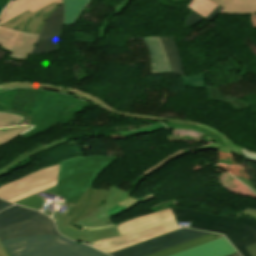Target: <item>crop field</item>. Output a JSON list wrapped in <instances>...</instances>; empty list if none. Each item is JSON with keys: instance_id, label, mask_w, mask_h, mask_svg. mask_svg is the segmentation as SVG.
<instances>
[{"instance_id": "obj_1", "label": "crop field", "mask_w": 256, "mask_h": 256, "mask_svg": "<svg viewBox=\"0 0 256 256\" xmlns=\"http://www.w3.org/2000/svg\"><path fill=\"white\" fill-rule=\"evenodd\" d=\"M171 209L175 220L192 221L193 229L225 234L242 256H251L244 247L256 243L255 219L240 215L233 219L178 207Z\"/></svg>"}, {"instance_id": "obj_2", "label": "crop field", "mask_w": 256, "mask_h": 256, "mask_svg": "<svg viewBox=\"0 0 256 256\" xmlns=\"http://www.w3.org/2000/svg\"><path fill=\"white\" fill-rule=\"evenodd\" d=\"M120 236L91 242L106 253L177 230L170 208L138 216L116 225Z\"/></svg>"}, {"instance_id": "obj_3", "label": "crop field", "mask_w": 256, "mask_h": 256, "mask_svg": "<svg viewBox=\"0 0 256 256\" xmlns=\"http://www.w3.org/2000/svg\"><path fill=\"white\" fill-rule=\"evenodd\" d=\"M63 2L58 0L33 15L24 12L0 25V46L12 52L8 57L26 59L37 42L44 21Z\"/></svg>"}, {"instance_id": "obj_4", "label": "crop field", "mask_w": 256, "mask_h": 256, "mask_svg": "<svg viewBox=\"0 0 256 256\" xmlns=\"http://www.w3.org/2000/svg\"><path fill=\"white\" fill-rule=\"evenodd\" d=\"M118 157H75L62 161L57 183V195L65 202L77 204L94 180Z\"/></svg>"}, {"instance_id": "obj_5", "label": "crop field", "mask_w": 256, "mask_h": 256, "mask_svg": "<svg viewBox=\"0 0 256 256\" xmlns=\"http://www.w3.org/2000/svg\"><path fill=\"white\" fill-rule=\"evenodd\" d=\"M2 243L10 256H108L59 235H31Z\"/></svg>"}, {"instance_id": "obj_6", "label": "crop field", "mask_w": 256, "mask_h": 256, "mask_svg": "<svg viewBox=\"0 0 256 256\" xmlns=\"http://www.w3.org/2000/svg\"><path fill=\"white\" fill-rule=\"evenodd\" d=\"M30 234H58L53 222L34 210L12 206L0 212V241Z\"/></svg>"}, {"instance_id": "obj_7", "label": "crop field", "mask_w": 256, "mask_h": 256, "mask_svg": "<svg viewBox=\"0 0 256 256\" xmlns=\"http://www.w3.org/2000/svg\"><path fill=\"white\" fill-rule=\"evenodd\" d=\"M103 201H106L105 205L102 204L101 207L79 220L77 224L87 227H100L113 224L110 218L126 212L129 208L139 203L138 200L132 198L128 193H124L113 186L107 189Z\"/></svg>"}, {"instance_id": "obj_8", "label": "crop field", "mask_w": 256, "mask_h": 256, "mask_svg": "<svg viewBox=\"0 0 256 256\" xmlns=\"http://www.w3.org/2000/svg\"><path fill=\"white\" fill-rule=\"evenodd\" d=\"M208 233L210 232L183 228L173 233L115 252L110 255L112 256H146L151 253L206 235Z\"/></svg>"}, {"instance_id": "obj_9", "label": "crop field", "mask_w": 256, "mask_h": 256, "mask_svg": "<svg viewBox=\"0 0 256 256\" xmlns=\"http://www.w3.org/2000/svg\"><path fill=\"white\" fill-rule=\"evenodd\" d=\"M59 164L30 173L18 180L0 186V197L8 200L38 186L56 180Z\"/></svg>"}, {"instance_id": "obj_10", "label": "crop field", "mask_w": 256, "mask_h": 256, "mask_svg": "<svg viewBox=\"0 0 256 256\" xmlns=\"http://www.w3.org/2000/svg\"><path fill=\"white\" fill-rule=\"evenodd\" d=\"M162 122L168 128L193 130L209 137L212 140V144L203 148H199V150L218 149L226 153H234L236 155L242 156L239 153L241 147L234 145L226 136L219 133L220 131L218 132L217 130L212 129L206 125L194 121L176 120L170 118H162ZM219 138H221L222 142H224L227 147H222V145L218 142Z\"/></svg>"}, {"instance_id": "obj_11", "label": "crop field", "mask_w": 256, "mask_h": 256, "mask_svg": "<svg viewBox=\"0 0 256 256\" xmlns=\"http://www.w3.org/2000/svg\"><path fill=\"white\" fill-rule=\"evenodd\" d=\"M64 3L46 20L35 49L30 55L59 51V37L63 28Z\"/></svg>"}, {"instance_id": "obj_12", "label": "crop field", "mask_w": 256, "mask_h": 256, "mask_svg": "<svg viewBox=\"0 0 256 256\" xmlns=\"http://www.w3.org/2000/svg\"><path fill=\"white\" fill-rule=\"evenodd\" d=\"M14 87H32V88L60 91V92H63V93L69 94V95H73V96L85 99L86 101L96 104L99 107H102L118 116L128 117V118H137V119H146L149 121H161V118H158V117H153V116H149V115L124 113V112L117 111V110L113 109L111 106L105 104L102 100H100L92 95H89L83 91H80L78 89H70V88H65V87L56 86V85H49V84H42V83H30V82H11V83H6V84L0 85V89L14 88Z\"/></svg>"}, {"instance_id": "obj_13", "label": "crop field", "mask_w": 256, "mask_h": 256, "mask_svg": "<svg viewBox=\"0 0 256 256\" xmlns=\"http://www.w3.org/2000/svg\"><path fill=\"white\" fill-rule=\"evenodd\" d=\"M52 218L54 219V221H57L56 226L62 235L77 241H85L89 243V241L104 239L118 235L115 229V225L100 228L83 227L81 230H79L67 225L69 216L63 213L55 211Z\"/></svg>"}, {"instance_id": "obj_14", "label": "crop field", "mask_w": 256, "mask_h": 256, "mask_svg": "<svg viewBox=\"0 0 256 256\" xmlns=\"http://www.w3.org/2000/svg\"><path fill=\"white\" fill-rule=\"evenodd\" d=\"M105 192L106 190L88 188L79 203L77 205L71 204L67 210L66 214L71 216L68 224L73 226L80 218L85 217L93 209L101 206Z\"/></svg>"}, {"instance_id": "obj_15", "label": "crop field", "mask_w": 256, "mask_h": 256, "mask_svg": "<svg viewBox=\"0 0 256 256\" xmlns=\"http://www.w3.org/2000/svg\"><path fill=\"white\" fill-rule=\"evenodd\" d=\"M240 256L225 237L173 256Z\"/></svg>"}, {"instance_id": "obj_16", "label": "crop field", "mask_w": 256, "mask_h": 256, "mask_svg": "<svg viewBox=\"0 0 256 256\" xmlns=\"http://www.w3.org/2000/svg\"><path fill=\"white\" fill-rule=\"evenodd\" d=\"M143 39L150 55L152 75L171 73L159 36L143 37Z\"/></svg>"}, {"instance_id": "obj_17", "label": "crop field", "mask_w": 256, "mask_h": 256, "mask_svg": "<svg viewBox=\"0 0 256 256\" xmlns=\"http://www.w3.org/2000/svg\"><path fill=\"white\" fill-rule=\"evenodd\" d=\"M185 86L207 88L210 100L230 103L235 110H241L250 107L249 103L236 99L226 100L222 93L216 87L206 86L204 72L182 77Z\"/></svg>"}, {"instance_id": "obj_18", "label": "crop field", "mask_w": 256, "mask_h": 256, "mask_svg": "<svg viewBox=\"0 0 256 256\" xmlns=\"http://www.w3.org/2000/svg\"><path fill=\"white\" fill-rule=\"evenodd\" d=\"M53 1L55 0H16L6 6L0 16V24L27 10L34 13Z\"/></svg>"}, {"instance_id": "obj_19", "label": "crop field", "mask_w": 256, "mask_h": 256, "mask_svg": "<svg viewBox=\"0 0 256 256\" xmlns=\"http://www.w3.org/2000/svg\"><path fill=\"white\" fill-rule=\"evenodd\" d=\"M160 38L167 53L172 73L185 75L174 39H171V36H160Z\"/></svg>"}, {"instance_id": "obj_20", "label": "crop field", "mask_w": 256, "mask_h": 256, "mask_svg": "<svg viewBox=\"0 0 256 256\" xmlns=\"http://www.w3.org/2000/svg\"><path fill=\"white\" fill-rule=\"evenodd\" d=\"M65 142L66 141H65L64 137L61 138V139H58V140L50 141V142L47 141L43 145H40V146L34 148L31 151L21 154L16 159H14L12 162H10L9 164L5 165L4 167H2L0 169V176L8 173L9 169L15 167L16 165L21 163L23 160H25V159H27V158H29V157L37 154V153L44 152V151H46L48 149H51V148H53V147H55L57 145L63 144Z\"/></svg>"}, {"instance_id": "obj_21", "label": "crop field", "mask_w": 256, "mask_h": 256, "mask_svg": "<svg viewBox=\"0 0 256 256\" xmlns=\"http://www.w3.org/2000/svg\"><path fill=\"white\" fill-rule=\"evenodd\" d=\"M219 237H223V235H218V234L211 233V234H208L206 236H203V237L194 239L192 241L174 246L172 248L154 253V254L149 255V256H170V255L176 254L178 252H181V251L193 248L195 246L201 245L203 243H206L208 241H211V240L219 238Z\"/></svg>"}, {"instance_id": "obj_22", "label": "crop field", "mask_w": 256, "mask_h": 256, "mask_svg": "<svg viewBox=\"0 0 256 256\" xmlns=\"http://www.w3.org/2000/svg\"><path fill=\"white\" fill-rule=\"evenodd\" d=\"M90 2L91 0H65L64 25L75 24L81 12Z\"/></svg>"}, {"instance_id": "obj_23", "label": "crop field", "mask_w": 256, "mask_h": 256, "mask_svg": "<svg viewBox=\"0 0 256 256\" xmlns=\"http://www.w3.org/2000/svg\"><path fill=\"white\" fill-rule=\"evenodd\" d=\"M256 13V0H230L220 14Z\"/></svg>"}, {"instance_id": "obj_24", "label": "crop field", "mask_w": 256, "mask_h": 256, "mask_svg": "<svg viewBox=\"0 0 256 256\" xmlns=\"http://www.w3.org/2000/svg\"><path fill=\"white\" fill-rule=\"evenodd\" d=\"M43 192L56 195V186L51 189L45 190ZM40 193H37L31 197L22 199L20 201L14 202V203L22 205V206H27L29 208L37 209L40 211L41 207L44 205V203L47 200V199H44L43 197L39 196Z\"/></svg>"}, {"instance_id": "obj_25", "label": "crop field", "mask_w": 256, "mask_h": 256, "mask_svg": "<svg viewBox=\"0 0 256 256\" xmlns=\"http://www.w3.org/2000/svg\"><path fill=\"white\" fill-rule=\"evenodd\" d=\"M33 127H11L0 129V146L4 143L20 136L24 132L30 130Z\"/></svg>"}, {"instance_id": "obj_26", "label": "crop field", "mask_w": 256, "mask_h": 256, "mask_svg": "<svg viewBox=\"0 0 256 256\" xmlns=\"http://www.w3.org/2000/svg\"><path fill=\"white\" fill-rule=\"evenodd\" d=\"M182 154H187L184 150H179L171 155H169L168 157H166L165 159H163L161 162H159L157 165L151 167L150 169H148L147 171H145L137 180H135L132 184V189H135V187L138 185V183L145 178L146 176H148L150 173L160 169L161 167H163L165 164H167L169 161H171L172 159H174L177 156H180Z\"/></svg>"}, {"instance_id": "obj_27", "label": "crop field", "mask_w": 256, "mask_h": 256, "mask_svg": "<svg viewBox=\"0 0 256 256\" xmlns=\"http://www.w3.org/2000/svg\"><path fill=\"white\" fill-rule=\"evenodd\" d=\"M222 9L223 8L218 5L206 18L200 16L199 14H197L196 12H194L192 10L187 19L186 25L193 27V26L199 24L204 19L211 21L218 13L221 12Z\"/></svg>"}, {"instance_id": "obj_28", "label": "crop field", "mask_w": 256, "mask_h": 256, "mask_svg": "<svg viewBox=\"0 0 256 256\" xmlns=\"http://www.w3.org/2000/svg\"><path fill=\"white\" fill-rule=\"evenodd\" d=\"M24 117L14 113L0 111V127L16 126L22 122Z\"/></svg>"}, {"instance_id": "obj_29", "label": "crop field", "mask_w": 256, "mask_h": 256, "mask_svg": "<svg viewBox=\"0 0 256 256\" xmlns=\"http://www.w3.org/2000/svg\"><path fill=\"white\" fill-rule=\"evenodd\" d=\"M164 128H165V126H163L162 124L156 123V124H150L145 127L138 128V129H134V130H130V131H123V132H116V133L124 134V135H136V134H145V133H149V132L164 129Z\"/></svg>"}, {"instance_id": "obj_30", "label": "crop field", "mask_w": 256, "mask_h": 256, "mask_svg": "<svg viewBox=\"0 0 256 256\" xmlns=\"http://www.w3.org/2000/svg\"><path fill=\"white\" fill-rule=\"evenodd\" d=\"M216 6L217 4L209 0H198L193 10L206 17Z\"/></svg>"}, {"instance_id": "obj_31", "label": "crop field", "mask_w": 256, "mask_h": 256, "mask_svg": "<svg viewBox=\"0 0 256 256\" xmlns=\"http://www.w3.org/2000/svg\"><path fill=\"white\" fill-rule=\"evenodd\" d=\"M56 182H57V180L54 181V182L48 183V184H46V185H43V186H41V187H39V188H37V189H35V190H33V191H30V192H28V193H25V194H23V195L14 197V198H12V199H10V200H8V201L14 202V201L20 200V199H22V198L31 196V195H33V194H35V193H37V192H40V191H43V190H45V189H48V188H51V187L55 186V185H56Z\"/></svg>"}, {"instance_id": "obj_32", "label": "crop field", "mask_w": 256, "mask_h": 256, "mask_svg": "<svg viewBox=\"0 0 256 256\" xmlns=\"http://www.w3.org/2000/svg\"><path fill=\"white\" fill-rule=\"evenodd\" d=\"M115 13H116V12L113 11L112 13H110V14L104 19V21L102 22V24H101L100 27H99L97 38H101V39H104V38H105L106 33H107V29H108V26H109L110 19L112 18V16H113Z\"/></svg>"}, {"instance_id": "obj_33", "label": "crop field", "mask_w": 256, "mask_h": 256, "mask_svg": "<svg viewBox=\"0 0 256 256\" xmlns=\"http://www.w3.org/2000/svg\"><path fill=\"white\" fill-rule=\"evenodd\" d=\"M240 153L243 155V157L256 161V153L255 152H251V151H248V150L242 148Z\"/></svg>"}, {"instance_id": "obj_34", "label": "crop field", "mask_w": 256, "mask_h": 256, "mask_svg": "<svg viewBox=\"0 0 256 256\" xmlns=\"http://www.w3.org/2000/svg\"><path fill=\"white\" fill-rule=\"evenodd\" d=\"M234 177H236L238 180H240L241 182H243L244 184L249 186L256 193V187L251 182H249L243 178H239L238 176H234Z\"/></svg>"}, {"instance_id": "obj_35", "label": "crop field", "mask_w": 256, "mask_h": 256, "mask_svg": "<svg viewBox=\"0 0 256 256\" xmlns=\"http://www.w3.org/2000/svg\"><path fill=\"white\" fill-rule=\"evenodd\" d=\"M252 256H256V244L246 247Z\"/></svg>"}, {"instance_id": "obj_36", "label": "crop field", "mask_w": 256, "mask_h": 256, "mask_svg": "<svg viewBox=\"0 0 256 256\" xmlns=\"http://www.w3.org/2000/svg\"><path fill=\"white\" fill-rule=\"evenodd\" d=\"M241 213L246 214V215H250V216H253V217H256V210H254V209H245Z\"/></svg>"}, {"instance_id": "obj_37", "label": "crop field", "mask_w": 256, "mask_h": 256, "mask_svg": "<svg viewBox=\"0 0 256 256\" xmlns=\"http://www.w3.org/2000/svg\"><path fill=\"white\" fill-rule=\"evenodd\" d=\"M217 4H219L220 6H222L223 8L225 7V5L228 3L229 0H211Z\"/></svg>"}, {"instance_id": "obj_38", "label": "crop field", "mask_w": 256, "mask_h": 256, "mask_svg": "<svg viewBox=\"0 0 256 256\" xmlns=\"http://www.w3.org/2000/svg\"><path fill=\"white\" fill-rule=\"evenodd\" d=\"M10 205H12V204H9V203H6V202L0 200V210L4 209Z\"/></svg>"}, {"instance_id": "obj_39", "label": "crop field", "mask_w": 256, "mask_h": 256, "mask_svg": "<svg viewBox=\"0 0 256 256\" xmlns=\"http://www.w3.org/2000/svg\"><path fill=\"white\" fill-rule=\"evenodd\" d=\"M9 0H0V11L6 6Z\"/></svg>"}, {"instance_id": "obj_40", "label": "crop field", "mask_w": 256, "mask_h": 256, "mask_svg": "<svg viewBox=\"0 0 256 256\" xmlns=\"http://www.w3.org/2000/svg\"><path fill=\"white\" fill-rule=\"evenodd\" d=\"M0 256H9L4 247L0 248Z\"/></svg>"}, {"instance_id": "obj_41", "label": "crop field", "mask_w": 256, "mask_h": 256, "mask_svg": "<svg viewBox=\"0 0 256 256\" xmlns=\"http://www.w3.org/2000/svg\"><path fill=\"white\" fill-rule=\"evenodd\" d=\"M128 2V0L123 1L114 11H118L123 5H125Z\"/></svg>"}, {"instance_id": "obj_42", "label": "crop field", "mask_w": 256, "mask_h": 256, "mask_svg": "<svg viewBox=\"0 0 256 256\" xmlns=\"http://www.w3.org/2000/svg\"><path fill=\"white\" fill-rule=\"evenodd\" d=\"M195 1H196V0H192V2L188 5V7H187V8L192 9V7H193V6H194V4H195Z\"/></svg>"}, {"instance_id": "obj_43", "label": "crop field", "mask_w": 256, "mask_h": 256, "mask_svg": "<svg viewBox=\"0 0 256 256\" xmlns=\"http://www.w3.org/2000/svg\"><path fill=\"white\" fill-rule=\"evenodd\" d=\"M0 247H2V244H1V242H0Z\"/></svg>"}, {"instance_id": "obj_44", "label": "crop field", "mask_w": 256, "mask_h": 256, "mask_svg": "<svg viewBox=\"0 0 256 256\" xmlns=\"http://www.w3.org/2000/svg\"><path fill=\"white\" fill-rule=\"evenodd\" d=\"M11 1H14V0H11ZM11 1H10V2H11Z\"/></svg>"}]
</instances>
